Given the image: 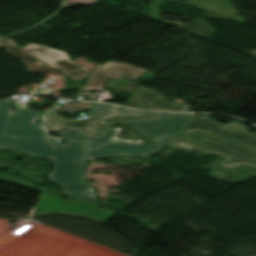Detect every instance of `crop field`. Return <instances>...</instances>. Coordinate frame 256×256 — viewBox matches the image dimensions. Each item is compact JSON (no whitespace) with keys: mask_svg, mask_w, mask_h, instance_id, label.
Returning <instances> with one entry per match:
<instances>
[{"mask_svg":"<svg viewBox=\"0 0 256 256\" xmlns=\"http://www.w3.org/2000/svg\"><path fill=\"white\" fill-rule=\"evenodd\" d=\"M17 109L11 113L0 139V149L15 150L55 161V171L49 173V181L59 183L64 191L40 189L29 185L30 181L0 173V179L41 191L96 203L93 189L83 182L85 142L67 140V145L47 139L36 121L39 112ZM66 192H69L67 194Z\"/></svg>","mask_w":256,"mask_h":256,"instance_id":"8a807250","label":"crop field"},{"mask_svg":"<svg viewBox=\"0 0 256 256\" xmlns=\"http://www.w3.org/2000/svg\"><path fill=\"white\" fill-rule=\"evenodd\" d=\"M194 114L195 113H166L162 117L148 121L122 122L155 140V145L108 143L116 132V129L112 128L107 132L105 137L90 138L77 129H71L61 138L88 140L87 161L96 157L111 155L149 157L150 153L159 151L168 144L173 136L182 128L189 118L194 116Z\"/></svg>","mask_w":256,"mask_h":256,"instance_id":"ac0d7876","label":"crop field"},{"mask_svg":"<svg viewBox=\"0 0 256 256\" xmlns=\"http://www.w3.org/2000/svg\"><path fill=\"white\" fill-rule=\"evenodd\" d=\"M169 144L203 153L215 152L225 158L221 164L228 168L247 163L256 169V151L212 133L197 131L178 134Z\"/></svg>","mask_w":256,"mask_h":256,"instance_id":"34b2d1b8","label":"crop field"},{"mask_svg":"<svg viewBox=\"0 0 256 256\" xmlns=\"http://www.w3.org/2000/svg\"><path fill=\"white\" fill-rule=\"evenodd\" d=\"M162 115H164V112H148L140 114L117 113L108 118L97 119L93 113H90L86 120H63L56 115L48 114L45 121L50 124L45 125V128L48 132H56L58 135H62L75 127L90 137H98L106 133L111 122L147 120ZM100 121H103V123H100Z\"/></svg>","mask_w":256,"mask_h":256,"instance_id":"412701ff","label":"crop field"},{"mask_svg":"<svg viewBox=\"0 0 256 256\" xmlns=\"http://www.w3.org/2000/svg\"><path fill=\"white\" fill-rule=\"evenodd\" d=\"M189 130H208L224 136L232 141H236L248 147L256 149V134H248L245 126L232 122L231 124L221 126L219 123L205 117L194 116L178 132Z\"/></svg>","mask_w":256,"mask_h":256,"instance_id":"f4fd0767","label":"crop field"},{"mask_svg":"<svg viewBox=\"0 0 256 256\" xmlns=\"http://www.w3.org/2000/svg\"><path fill=\"white\" fill-rule=\"evenodd\" d=\"M143 72L145 70L126 63L110 61L95 69V73L88 77L87 84L82 89L83 91L101 90L107 78L123 77L134 80Z\"/></svg>","mask_w":256,"mask_h":256,"instance_id":"dd49c442","label":"crop field"},{"mask_svg":"<svg viewBox=\"0 0 256 256\" xmlns=\"http://www.w3.org/2000/svg\"><path fill=\"white\" fill-rule=\"evenodd\" d=\"M29 54L34 55L50 64L61 65L68 72L73 74L77 80L89 75L87 69L69 60L67 53L49 47L29 43L23 47Z\"/></svg>","mask_w":256,"mask_h":256,"instance_id":"e52e79f7","label":"crop field"},{"mask_svg":"<svg viewBox=\"0 0 256 256\" xmlns=\"http://www.w3.org/2000/svg\"><path fill=\"white\" fill-rule=\"evenodd\" d=\"M0 44L13 57H19L26 64L29 71L65 73L71 79L76 80L74 76H72L70 73L64 70L61 66L54 67L45 61H42L36 57L29 55L24 49H21L20 47H18L9 38L1 39Z\"/></svg>","mask_w":256,"mask_h":256,"instance_id":"d8731c3e","label":"crop field"},{"mask_svg":"<svg viewBox=\"0 0 256 256\" xmlns=\"http://www.w3.org/2000/svg\"><path fill=\"white\" fill-rule=\"evenodd\" d=\"M135 108L175 111H183L185 109L184 106L170 102L164 99L161 94L146 87L144 88Z\"/></svg>","mask_w":256,"mask_h":256,"instance_id":"5a996713","label":"crop field"},{"mask_svg":"<svg viewBox=\"0 0 256 256\" xmlns=\"http://www.w3.org/2000/svg\"><path fill=\"white\" fill-rule=\"evenodd\" d=\"M122 107L109 105V104H102V103H94L91 111L97 116V118L107 117L111 114L117 112H130V113H140L144 111H136L130 109L120 110Z\"/></svg>","mask_w":256,"mask_h":256,"instance_id":"3316defc","label":"crop field"},{"mask_svg":"<svg viewBox=\"0 0 256 256\" xmlns=\"http://www.w3.org/2000/svg\"><path fill=\"white\" fill-rule=\"evenodd\" d=\"M13 102H0V137L6 124Z\"/></svg>","mask_w":256,"mask_h":256,"instance_id":"28ad6ade","label":"crop field"},{"mask_svg":"<svg viewBox=\"0 0 256 256\" xmlns=\"http://www.w3.org/2000/svg\"><path fill=\"white\" fill-rule=\"evenodd\" d=\"M91 103H66L65 106L59 112H74L80 110H86L90 108Z\"/></svg>","mask_w":256,"mask_h":256,"instance_id":"d1516ede","label":"crop field"},{"mask_svg":"<svg viewBox=\"0 0 256 256\" xmlns=\"http://www.w3.org/2000/svg\"><path fill=\"white\" fill-rule=\"evenodd\" d=\"M144 87H136L127 103L128 107H134Z\"/></svg>","mask_w":256,"mask_h":256,"instance_id":"22f410ed","label":"crop field"},{"mask_svg":"<svg viewBox=\"0 0 256 256\" xmlns=\"http://www.w3.org/2000/svg\"><path fill=\"white\" fill-rule=\"evenodd\" d=\"M78 1H92V0H69V1H67L66 6L68 7V3L78 2ZM92 3H94V2H84V3H76V4H92Z\"/></svg>","mask_w":256,"mask_h":256,"instance_id":"cbeb9de0","label":"crop field"},{"mask_svg":"<svg viewBox=\"0 0 256 256\" xmlns=\"http://www.w3.org/2000/svg\"><path fill=\"white\" fill-rule=\"evenodd\" d=\"M53 89L51 88H44L42 90H39L37 93H45L48 94L50 91H52Z\"/></svg>","mask_w":256,"mask_h":256,"instance_id":"5142ce71","label":"crop field"},{"mask_svg":"<svg viewBox=\"0 0 256 256\" xmlns=\"http://www.w3.org/2000/svg\"><path fill=\"white\" fill-rule=\"evenodd\" d=\"M0 47H1V45H0Z\"/></svg>","mask_w":256,"mask_h":256,"instance_id":"d9b57169","label":"crop field"},{"mask_svg":"<svg viewBox=\"0 0 256 256\" xmlns=\"http://www.w3.org/2000/svg\"><path fill=\"white\" fill-rule=\"evenodd\" d=\"M0 36H2V35H0Z\"/></svg>","mask_w":256,"mask_h":256,"instance_id":"733c2abd","label":"crop field"}]
</instances>
